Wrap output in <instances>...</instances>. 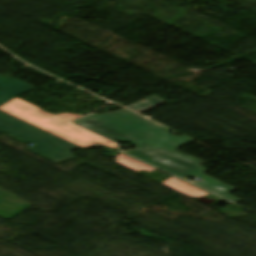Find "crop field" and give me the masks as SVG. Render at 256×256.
Here are the masks:
<instances>
[{"instance_id":"7","label":"crop field","mask_w":256,"mask_h":256,"mask_svg":"<svg viewBox=\"0 0 256 256\" xmlns=\"http://www.w3.org/2000/svg\"><path fill=\"white\" fill-rule=\"evenodd\" d=\"M164 185L178 191L181 192L189 197H198V196H202L205 194H209L205 191H202L198 188H195L191 185H188L182 181H179L173 177H171L170 179L166 180L164 183Z\"/></svg>"},{"instance_id":"1","label":"crop field","mask_w":256,"mask_h":256,"mask_svg":"<svg viewBox=\"0 0 256 256\" xmlns=\"http://www.w3.org/2000/svg\"><path fill=\"white\" fill-rule=\"evenodd\" d=\"M74 123L106 138L130 143L135 151L156 160L187 142V137H174L166 128L147 121L125 109L101 115L92 114Z\"/></svg>"},{"instance_id":"2","label":"crop field","mask_w":256,"mask_h":256,"mask_svg":"<svg viewBox=\"0 0 256 256\" xmlns=\"http://www.w3.org/2000/svg\"><path fill=\"white\" fill-rule=\"evenodd\" d=\"M0 110L38 126L83 148L97 142L110 148H116L114 143L85 131L71 124V122L53 116L18 98L1 106Z\"/></svg>"},{"instance_id":"8","label":"crop field","mask_w":256,"mask_h":256,"mask_svg":"<svg viewBox=\"0 0 256 256\" xmlns=\"http://www.w3.org/2000/svg\"><path fill=\"white\" fill-rule=\"evenodd\" d=\"M116 158H117V161H116L117 163H119L135 172H137L141 169H144L148 172H152V171L156 170V169H153V168H151L145 164H142L134 159H131L123 154L116 156Z\"/></svg>"},{"instance_id":"4","label":"crop field","mask_w":256,"mask_h":256,"mask_svg":"<svg viewBox=\"0 0 256 256\" xmlns=\"http://www.w3.org/2000/svg\"><path fill=\"white\" fill-rule=\"evenodd\" d=\"M129 154L148 162L166 172H169L179 178H182L188 174H192L198 178L194 184L230 201V202H238L239 199L227 194L228 192L234 190L233 188L214 180L204 174H202L205 169L201 168L199 165L202 163L199 160H196L191 157L184 156L177 152H173L165 157H162L156 161H153L135 151L128 152ZM127 154V153H126ZM128 154V155H129ZM130 155V156H131ZM204 162V161H203Z\"/></svg>"},{"instance_id":"9","label":"crop field","mask_w":256,"mask_h":256,"mask_svg":"<svg viewBox=\"0 0 256 256\" xmlns=\"http://www.w3.org/2000/svg\"><path fill=\"white\" fill-rule=\"evenodd\" d=\"M165 103L164 100L160 99L157 96H153L151 98L145 99L143 101L137 102L135 104L127 106L128 108L136 111L137 113H140L142 111L148 110L150 108L156 107L158 105H161Z\"/></svg>"},{"instance_id":"6","label":"crop field","mask_w":256,"mask_h":256,"mask_svg":"<svg viewBox=\"0 0 256 256\" xmlns=\"http://www.w3.org/2000/svg\"><path fill=\"white\" fill-rule=\"evenodd\" d=\"M30 203L20 200L0 189V216L10 218L28 208Z\"/></svg>"},{"instance_id":"10","label":"crop field","mask_w":256,"mask_h":256,"mask_svg":"<svg viewBox=\"0 0 256 256\" xmlns=\"http://www.w3.org/2000/svg\"><path fill=\"white\" fill-rule=\"evenodd\" d=\"M81 115H73V114H67V113H64L62 115H58V117H61L63 119H66L68 121L72 120V119H75L77 117H80Z\"/></svg>"},{"instance_id":"3","label":"crop field","mask_w":256,"mask_h":256,"mask_svg":"<svg viewBox=\"0 0 256 256\" xmlns=\"http://www.w3.org/2000/svg\"><path fill=\"white\" fill-rule=\"evenodd\" d=\"M0 132L34 144L27 149L56 163L74 158L70 150L78 148L1 111Z\"/></svg>"},{"instance_id":"5","label":"crop field","mask_w":256,"mask_h":256,"mask_svg":"<svg viewBox=\"0 0 256 256\" xmlns=\"http://www.w3.org/2000/svg\"><path fill=\"white\" fill-rule=\"evenodd\" d=\"M32 89L34 87L18 80L0 77V106Z\"/></svg>"}]
</instances>
